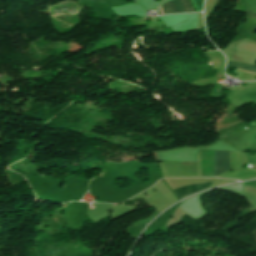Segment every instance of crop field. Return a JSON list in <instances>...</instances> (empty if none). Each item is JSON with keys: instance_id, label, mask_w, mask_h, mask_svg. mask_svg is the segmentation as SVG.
<instances>
[{"instance_id": "obj_6", "label": "crop field", "mask_w": 256, "mask_h": 256, "mask_svg": "<svg viewBox=\"0 0 256 256\" xmlns=\"http://www.w3.org/2000/svg\"><path fill=\"white\" fill-rule=\"evenodd\" d=\"M206 54V53H205ZM207 55V54H206ZM210 59V58H209Z\"/></svg>"}, {"instance_id": "obj_1", "label": "crop field", "mask_w": 256, "mask_h": 256, "mask_svg": "<svg viewBox=\"0 0 256 256\" xmlns=\"http://www.w3.org/2000/svg\"><path fill=\"white\" fill-rule=\"evenodd\" d=\"M218 151L201 150L199 176L216 177ZM229 170V152L219 151L217 175Z\"/></svg>"}, {"instance_id": "obj_5", "label": "crop field", "mask_w": 256, "mask_h": 256, "mask_svg": "<svg viewBox=\"0 0 256 256\" xmlns=\"http://www.w3.org/2000/svg\"><path fill=\"white\" fill-rule=\"evenodd\" d=\"M244 184L256 186V180L255 181H251V182H246Z\"/></svg>"}, {"instance_id": "obj_4", "label": "crop field", "mask_w": 256, "mask_h": 256, "mask_svg": "<svg viewBox=\"0 0 256 256\" xmlns=\"http://www.w3.org/2000/svg\"><path fill=\"white\" fill-rule=\"evenodd\" d=\"M227 66L236 67V68L242 69L244 71L256 74V67L251 66V65L236 63V62H227Z\"/></svg>"}, {"instance_id": "obj_2", "label": "crop field", "mask_w": 256, "mask_h": 256, "mask_svg": "<svg viewBox=\"0 0 256 256\" xmlns=\"http://www.w3.org/2000/svg\"><path fill=\"white\" fill-rule=\"evenodd\" d=\"M180 1L186 12L195 11L189 0H180ZM180 1L179 0L170 1L176 13L185 12ZM170 2H166L162 5L164 14L175 13ZM162 8H161V14H163Z\"/></svg>"}, {"instance_id": "obj_3", "label": "crop field", "mask_w": 256, "mask_h": 256, "mask_svg": "<svg viewBox=\"0 0 256 256\" xmlns=\"http://www.w3.org/2000/svg\"><path fill=\"white\" fill-rule=\"evenodd\" d=\"M214 184H215V182L184 186V187L174 189V192L176 193L178 198L181 199L183 197H186L190 194H193V193L203 190L205 188L213 187Z\"/></svg>"}]
</instances>
